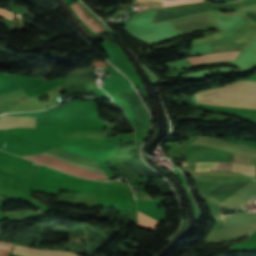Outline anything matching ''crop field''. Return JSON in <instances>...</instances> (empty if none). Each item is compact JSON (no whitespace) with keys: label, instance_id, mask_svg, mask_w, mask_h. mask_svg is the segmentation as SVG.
Returning <instances> with one entry per match:
<instances>
[{"label":"crop field","instance_id":"obj_1","mask_svg":"<svg viewBox=\"0 0 256 256\" xmlns=\"http://www.w3.org/2000/svg\"><path fill=\"white\" fill-rule=\"evenodd\" d=\"M43 154L49 155L51 157L66 161L68 163L97 172L99 174L105 175L102 169L100 168L99 164L95 160H92L80 155H76L58 148H55ZM43 154L34 155V156H22V157L45 164L47 166L53 167L55 169L61 170L71 175L92 178V179H108L105 176L82 169L80 167L68 164L66 162L51 158Z\"/></svg>","mask_w":256,"mask_h":256},{"label":"crop field","instance_id":"obj_2","mask_svg":"<svg viewBox=\"0 0 256 256\" xmlns=\"http://www.w3.org/2000/svg\"><path fill=\"white\" fill-rule=\"evenodd\" d=\"M199 103L256 108V82L239 81L231 85L194 94Z\"/></svg>","mask_w":256,"mask_h":256},{"label":"crop field","instance_id":"obj_3","mask_svg":"<svg viewBox=\"0 0 256 256\" xmlns=\"http://www.w3.org/2000/svg\"><path fill=\"white\" fill-rule=\"evenodd\" d=\"M222 219L225 228L211 230L207 236L208 241L245 236L256 228V213L225 216Z\"/></svg>","mask_w":256,"mask_h":256},{"label":"crop field","instance_id":"obj_4","mask_svg":"<svg viewBox=\"0 0 256 256\" xmlns=\"http://www.w3.org/2000/svg\"><path fill=\"white\" fill-rule=\"evenodd\" d=\"M35 181L49 186H65L99 190L94 181L77 178L40 165Z\"/></svg>","mask_w":256,"mask_h":256},{"label":"crop field","instance_id":"obj_5","mask_svg":"<svg viewBox=\"0 0 256 256\" xmlns=\"http://www.w3.org/2000/svg\"><path fill=\"white\" fill-rule=\"evenodd\" d=\"M172 22L176 29H182L184 34L213 27L207 13L173 19Z\"/></svg>","mask_w":256,"mask_h":256},{"label":"crop field","instance_id":"obj_6","mask_svg":"<svg viewBox=\"0 0 256 256\" xmlns=\"http://www.w3.org/2000/svg\"><path fill=\"white\" fill-rule=\"evenodd\" d=\"M192 144H202L206 146H211L215 148H220V149L256 157V149L229 143L223 140H216L208 137L199 136L196 140L193 141Z\"/></svg>","mask_w":256,"mask_h":256},{"label":"crop field","instance_id":"obj_7","mask_svg":"<svg viewBox=\"0 0 256 256\" xmlns=\"http://www.w3.org/2000/svg\"><path fill=\"white\" fill-rule=\"evenodd\" d=\"M218 162H199L195 163L196 171H206L209 168H215ZM210 170H229L234 172H239L247 175L254 176V168L236 164L234 162H219L216 169Z\"/></svg>","mask_w":256,"mask_h":256},{"label":"crop field","instance_id":"obj_8","mask_svg":"<svg viewBox=\"0 0 256 256\" xmlns=\"http://www.w3.org/2000/svg\"><path fill=\"white\" fill-rule=\"evenodd\" d=\"M256 35V26L253 25L235 42L213 44L214 52L241 50Z\"/></svg>","mask_w":256,"mask_h":256},{"label":"crop field","instance_id":"obj_9","mask_svg":"<svg viewBox=\"0 0 256 256\" xmlns=\"http://www.w3.org/2000/svg\"><path fill=\"white\" fill-rule=\"evenodd\" d=\"M255 195L256 181L253 180L223 203L239 208L251 198H253Z\"/></svg>","mask_w":256,"mask_h":256},{"label":"crop field","instance_id":"obj_10","mask_svg":"<svg viewBox=\"0 0 256 256\" xmlns=\"http://www.w3.org/2000/svg\"><path fill=\"white\" fill-rule=\"evenodd\" d=\"M34 125L35 118L4 115L0 119V129H7L10 127H34Z\"/></svg>","mask_w":256,"mask_h":256},{"label":"crop field","instance_id":"obj_11","mask_svg":"<svg viewBox=\"0 0 256 256\" xmlns=\"http://www.w3.org/2000/svg\"><path fill=\"white\" fill-rule=\"evenodd\" d=\"M249 182H225L211 192L221 203Z\"/></svg>","mask_w":256,"mask_h":256},{"label":"crop field","instance_id":"obj_12","mask_svg":"<svg viewBox=\"0 0 256 256\" xmlns=\"http://www.w3.org/2000/svg\"><path fill=\"white\" fill-rule=\"evenodd\" d=\"M13 253L23 255V256H76L68 252L41 251V250H34L30 248L17 247V246H15Z\"/></svg>","mask_w":256,"mask_h":256},{"label":"crop field","instance_id":"obj_13","mask_svg":"<svg viewBox=\"0 0 256 256\" xmlns=\"http://www.w3.org/2000/svg\"><path fill=\"white\" fill-rule=\"evenodd\" d=\"M239 51L234 52H222V53H216L201 57H195V58H189L188 60L192 64L196 63H203V62H212V61H222V60H230L235 59V57L238 55Z\"/></svg>","mask_w":256,"mask_h":256},{"label":"crop field","instance_id":"obj_14","mask_svg":"<svg viewBox=\"0 0 256 256\" xmlns=\"http://www.w3.org/2000/svg\"><path fill=\"white\" fill-rule=\"evenodd\" d=\"M71 7L76 12L78 17L87 24L94 32L104 31L105 29L98 24L85 10H83L77 3L71 4Z\"/></svg>","mask_w":256,"mask_h":256},{"label":"crop field","instance_id":"obj_15","mask_svg":"<svg viewBox=\"0 0 256 256\" xmlns=\"http://www.w3.org/2000/svg\"><path fill=\"white\" fill-rule=\"evenodd\" d=\"M157 223H158V221L153 220V219L145 216L144 214L138 212V227L151 228L154 230Z\"/></svg>","mask_w":256,"mask_h":256},{"label":"crop field","instance_id":"obj_16","mask_svg":"<svg viewBox=\"0 0 256 256\" xmlns=\"http://www.w3.org/2000/svg\"><path fill=\"white\" fill-rule=\"evenodd\" d=\"M228 160L229 161H237V162H241V163H245V164H249V165L254 166L256 159L252 158V157H248V156L239 155V154L229 152Z\"/></svg>","mask_w":256,"mask_h":256},{"label":"crop field","instance_id":"obj_17","mask_svg":"<svg viewBox=\"0 0 256 256\" xmlns=\"http://www.w3.org/2000/svg\"><path fill=\"white\" fill-rule=\"evenodd\" d=\"M0 16L8 18V19H14L15 15L14 14H10L8 12L2 11L0 10Z\"/></svg>","mask_w":256,"mask_h":256},{"label":"crop field","instance_id":"obj_18","mask_svg":"<svg viewBox=\"0 0 256 256\" xmlns=\"http://www.w3.org/2000/svg\"><path fill=\"white\" fill-rule=\"evenodd\" d=\"M6 132L7 131H5V130H0V149L2 148Z\"/></svg>","mask_w":256,"mask_h":256},{"label":"crop field","instance_id":"obj_19","mask_svg":"<svg viewBox=\"0 0 256 256\" xmlns=\"http://www.w3.org/2000/svg\"><path fill=\"white\" fill-rule=\"evenodd\" d=\"M8 252L0 250V256H7Z\"/></svg>","mask_w":256,"mask_h":256},{"label":"crop field","instance_id":"obj_20","mask_svg":"<svg viewBox=\"0 0 256 256\" xmlns=\"http://www.w3.org/2000/svg\"><path fill=\"white\" fill-rule=\"evenodd\" d=\"M251 11H253V12H255L256 13V8H254L253 10H251Z\"/></svg>","mask_w":256,"mask_h":256}]
</instances>
